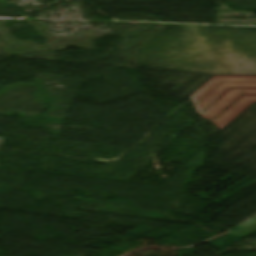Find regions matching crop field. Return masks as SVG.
I'll list each match as a JSON object with an SVG mask.
<instances>
[{"label": "crop field", "instance_id": "obj_1", "mask_svg": "<svg viewBox=\"0 0 256 256\" xmlns=\"http://www.w3.org/2000/svg\"><path fill=\"white\" fill-rule=\"evenodd\" d=\"M190 98L221 131L256 102V76H213Z\"/></svg>", "mask_w": 256, "mask_h": 256}, {"label": "crop field", "instance_id": "obj_2", "mask_svg": "<svg viewBox=\"0 0 256 256\" xmlns=\"http://www.w3.org/2000/svg\"><path fill=\"white\" fill-rule=\"evenodd\" d=\"M255 222H256V215L254 217L248 219L247 221L241 223L240 225L236 226L235 228L229 230V232L236 234V233L240 232L241 230L247 228L248 226L252 225Z\"/></svg>", "mask_w": 256, "mask_h": 256}]
</instances>
